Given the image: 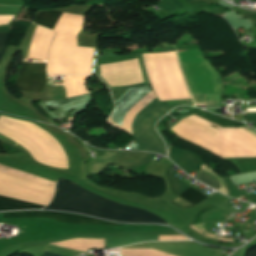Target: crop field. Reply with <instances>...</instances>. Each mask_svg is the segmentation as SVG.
I'll return each mask as SVG.
<instances>
[{
	"instance_id": "11",
	"label": "crop field",
	"mask_w": 256,
	"mask_h": 256,
	"mask_svg": "<svg viewBox=\"0 0 256 256\" xmlns=\"http://www.w3.org/2000/svg\"><path fill=\"white\" fill-rule=\"evenodd\" d=\"M61 12L59 11H42L38 12L35 20L33 21L35 24H39L50 29H53L59 15Z\"/></svg>"
},
{
	"instance_id": "7",
	"label": "crop field",
	"mask_w": 256,
	"mask_h": 256,
	"mask_svg": "<svg viewBox=\"0 0 256 256\" xmlns=\"http://www.w3.org/2000/svg\"><path fill=\"white\" fill-rule=\"evenodd\" d=\"M4 217H52L58 221L67 223H92L100 225H122L119 223H111L101 221L81 215L61 213V212H43V211H23V212H9L4 213Z\"/></svg>"
},
{
	"instance_id": "19",
	"label": "crop field",
	"mask_w": 256,
	"mask_h": 256,
	"mask_svg": "<svg viewBox=\"0 0 256 256\" xmlns=\"http://www.w3.org/2000/svg\"><path fill=\"white\" fill-rule=\"evenodd\" d=\"M43 256H58V255H55V254H51V253H45Z\"/></svg>"
},
{
	"instance_id": "3",
	"label": "crop field",
	"mask_w": 256,
	"mask_h": 256,
	"mask_svg": "<svg viewBox=\"0 0 256 256\" xmlns=\"http://www.w3.org/2000/svg\"><path fill=\"white\" fill-rule=\"evenodd\" d=\"M213 135L222 127L195 115L182 119ZM178 122L170 130L178 137L197 144L222 158L256 157V134L248 128H223L213 136L185 122Z\"/></svg>"
},
{
	"instance_id": "12",
	"label": "crop field",
	"mask_w": 256,
	"mask_h": 256,
	"mask_svg": "<svg viewBox=\"0 0 256 256\" xmlns=\"http://www.w3.org/2000/svg\"><path fill=\"white\" fill-rule=\"evenodd\" d=\"M42 207L43 206L0 197V210L23 209V208H42Z\"/></svg>"
},
{
	"instance_id": "5",
	"label": "crop field",
	"mask_w": 256,
	"mask_h": 256,
	"mask_svg": "<svg viewBox=\"0 0 256 256\" xmlns=\"http://www.w3.org/2000/svg\"><path fill=\"white\" fill-rule=\"evenodd\" d=\"M180 57L193 94H221L222 81L201 49L184 50Z\"/></svg>"
},
{
	"instance_id": "16",
	"label": "crop field",
	"mask_w": 256,
	"mask_h": 256,
	"mask_svg": "<svg viewBox=\"0 0 256 256\" xmlns=\"http://www.w3.org/2000/svg\"><path fill=\"white\" fill-rule=\"evenodd\" d=\"M179 197L183 198L184 200L196 205L197 203L203 201L208 196L204 195L203 193L193 189L188 188L184 192H182Z\"/></svg>"
},
{
	"instance_id": "18",
	"label": "crop field",
	"mask_w": 256,
	"mask_h": 256,
	"mask_svg": "<svg viewBox=\"0 0 256 256\" xmlns=\"http://www.w3.org/2000/svg\"><path fill=\"white\" fill-rule=\"evenodd\" d=\"M172 203L176 204V205H180V206H193L191 204H189L188 202L184 201L181 198H177L175 201H173Z\"/></svg>"
},
{
	"instance_id": "2",
	"label": "crop field",
	"mask_w": 256,
	"mask_h": 256,
	"mask_svg": "<svg viewBox=\"0 0 256 256\" xmlns=\"http://www.w3.org/2000/svg\"><path fill=\"white\" fill-rule=\"evenodd\" d=\"M176 52H162V53H142V57L144 60H153V59H163V58H173ZM140 54H132V55H124L117 57V55L98 57L97 67H96V75L110 88H123V87H131V86H139V85H147L150 84L145 67L142 61ZM142 72H141L140 66ZM123 58H132V59H123ZM114 59H123V60H114ZM105 60H114V61H105ZM100 61L101 62L111 83H124V82H133V81H141V82H133V83H124V84H116L111 85ZM160 66L163 78L165 80L168 92L171 98H184L190 97L185 86L184 80L182 78L181 72L178 67L177 59H163L157 60Z\"/></svg>"
},
{
	"instance_id": "15",
	"label": "crop field",
	"mask_w": 256,
	"mask_h": 256,
	"mask_svg": "<svg viewBox=\"0 0 256 256\" xmlns=\"http://www.w3.org/2000/svg\"><path fill=\"white\" fill-rule=\"evenodd\" d=\"M121 151H107L97 162L93 164L91 174H99V172L107 166Z\"/></svg>"
},
{
	"instance_id": "17",
	"label": "crop field",
	"mask_w": 256,
	"mask_h": 256,
	"mask_svg": "<svg viewBox=\"0 0 256 256\" xmlns=\"http://www.w3.org/2000/svg\"><path fill=\"white\" fill-rule=\"evenodd\" d=\"M9 35H0V59L7 49Z\"/></svg>"
},
{
	"instance_id": "9",
	"label": "crop field",
	"mask_w": 256,
	"mask_h": 256,
	"mask_svg": "<svg viewBox=\"0 0 256 256\" xmlns=\"http://www.w3.org/2000/svg\"><path fill=\"white\" fill-rule=\"evenodd\" d=\"M154 153H138L123 151L112 164L118 165L125 169H131L143 163L152 161Z\"/></svg>"
},
{
	"instance_id": "1",
	"label": "crop field",
	"mask_w": 256,
	"mask_h": 256,
	"mask_svg": "<svg viewBox=\"0 0 256 256\" xmlns=\"http://www.w3.org/2000/svg\"><path fill=\"white\" fill-rule=\"evenodd\" d=\"M130 88L111 90L114 102ZM155 97L149 86L131 88L116 102L121 103L111 114L109 121L131 134V122L135 113ZM172 107L154 98L140 111L132 122V134L141 150L155 151L166 155L165 147L154 129V124Z\"/></svg>"
},
{
	"instance_id": "6",
	"label": "crop field",
	"mask_w": 256,
	"mask_h": 256,
	"mask_svg": "<svg viewBox=\"0 0 256 256\" xmlns=\"http://www.w3.org/2000/svg\"><path fill=\"white\" fill-rule=\"evenodd\" d=\"M16 79V88L22 91L42 92L46 83V64L25 63Z\"/></svg>"
},
{
	"instance_id": "8",
	"label": "crop field",
	"mask_w": 256,
	"mask_h": 256,
	"mask_svg": "<svg viewBox=\"0 0 256 256\" xmlns=\"http://www.w3.org/2000/svg\"><path fill=\"white\" fill-rule=\"evenodd\" d=\"M168 156L188 174H190L200 165L203 164V162L198 158V156L193 155L187 151H183L172 147L169 151Z\"/></svg>"
},
{
	"instance_id": "13",
	"label": "crop field",
	"mask_w": 256,
	"mask_h": 256,
	"mask_svg": "<svg viewBox=\"0 0 256 256\" xmlns=\"http://www.w3.org/2000/svg\"><path fill=\"white\" fill-rule=\"evenodd\" d=\"M174 165L169 166L168 168ZM167 168V169H168ZM166 169V179L168 184L175 195H179L182 191H184L187 187H189L185 182L179 179L177 176L172 174L170 171Z\"/></svg>"
},
{
	"instance_id": "10",
	"label": "crop field",
	"mask_w": 256,
	"mask_h": 256,
	"mask_svg": "<svg viewBox=\"0 0 256 256\" xmlns=\"http://www.w3.org/2000/svg\"><path fill=\"white\" fill-rule=\"evenodd\" d=\"M196 179L199 181L207 184L208 186L216 189L217 191L228 195L227 189L222 181L218 176H216L208 167L205 165L201 166Z\"/></svg>"
},
{
	"instance_id": "21",
	"label": "crop field",
	"mask_w": 256,
	"mask_h": 256,
	"mask_svg": "<svg viewBox=\"0 0 256 256\" xmlns=\"http://www.w3.org/2000/svg\"><path fill=\"white\" fill-rule=\"evenodd\" d=\"M253 1H256V0H253Z\"/></svg>"
},
{
	"instance_id": "4",
	"label": "crop field",
	"mask_w": 256,
	"mask_h": 256,
	"mask_svg": "<svg viewBox=\"0 0 256 256\" xmlns=\"http://www.w3.org/2000/svg\"><path fill=\"white\" fill-rule=\"evenodd\" d=\"M57 186L65 190L71 191L88 199L94 200L101 204L116 208L118 210L130 213L136 217H139L148 222L154 223H165L161 218L137 208L128 207L108 199L102 198L91 192H88L76 184L64 180L59 177ZM56 187V193L53 197L52 202L44 209H60L65 211L81 212L97 216L100 218L120 220V221H130V222H145L139 218H136L130 214L115 210L113 208L101 205L94 201L88 200L71 192L65 191Z\"/></svg>"
},
{
	"instance_id": "20",
	"label": "crop field",
	"mask_w": 256,
	"mask_h": 256,
	"mask_svg": "<svg viewBox=\"0 0 256 256\" xmlns=\"http://www.w3.org/2000/svg\"><path fill=\"white\" fill-rule=\"evenodd\" d=\"M245 116H256V113L245 114Z\"/></svg>"
},
{
	"instance_id": "14",
	"label": "crop field",
	"mask_w": 256,
	"mask_h": 256,
	"mask_svg": "<svg viewBox=\"0 0 256 256\" xmlns=\"http://www.w3.org/2000/svg\"><path fill=\"white\" fill-rule=\"evenodd\" d=\"M84 95L80 97L68 98L60 101L47 102L46 105L56 108L57 110L53 111L56 116L61 119L64 117V112L61 107L71 105L80 101H83Z\"/></svg>"
}]
</instances>
